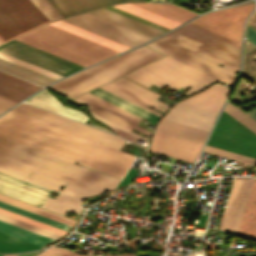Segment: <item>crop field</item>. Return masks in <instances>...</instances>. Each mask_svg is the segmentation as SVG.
I'll use <instances>...</instances> for the list:
<instances>
[{"instance_id":"obj_39","label":"crop field","mask_w":256,"mask_h":256,"mask_svg":"<svg viewBox=\"0 0 256 256\" xmlns=\"http://www.w3.org/2000/svg\"><path fill=\"white\" fill-rule=\"evenodd\" d=\"M0 220L6 221V222H8V223H11V224L20 226V227H22V228H25V229L34 231V232H36V233H39V234H42V235H45V236H48V237L53 238V239H56V238L61 237V235H58V234H56V233H53V232L44 230V229H42V228H39V227L33 226V225H31V224H28V223L19 221V220H17V219H14V218L5 216V215H3V214H0Z\"/></svg>"},{"instance_id":"obj_44","label":"crop field","mask_w":256,"mask_h":256,"mask_svg":"<svg viewBox=\"0 0 256 256\" xmlns=\"http://www.w3.org/2000/svg\"><path fill=\"white\" fill-rule=\"evenodd\" d=\"M40 256H79L69 250L63 248H50Z\"/></svg>"},{"instance_id":"obj_37","label":"crop field","mask_w":256,"mask_h":256,"mask_svg":"<svg viewBox=\"0 0 256 256\" xmlns=\"http://www.w3.org/2000/svg\"><path fill=\"white\" fill-rule=\"evenodd\" d=\"M90 113L92 114V116L94 118H96L98 121H100L101 123L105 124L106 126L110 127L118 135H120V136H122V137H124V138H126V139H128V140H130L132 142H134V143L138 139L147 142V139H145V138H143V137H141V136H139V135H137V134H135L133 132H130V131H128V130H126V129H124V128H122V127H120V126H118V125H116V124H114V123H112V122H110V121H108V120H106V119L96 115V114H94V113H92V112H90Z\"/></svg>"},{"instance_id":"obj_54","label":"crop field","mask_w":256,"mask_h":256,"mask_svg":"<svg viewBox=\"0 0 256 256\" xmlns=\"http://www.w3.org/2000/svg\"><path fill=\"white\" fill-rule=\"evenodd\" d=\"M0 256H2V255H0Z\"/></svg>"},{"instance_id":"obj_19","label":"crop field","mask_w":256,"mask_h":256,"mask_svg":"<svg viewBox=\"0 0 256 256\" xmlns=\"http://www.w3.org/2000/svg\"><path fill=\"white\" fill-rule=\"evenodd\" d=\"M230 88L216 83L205 91L196 94L190 98L180 101L189 106L203 109L209 112L218 113Z\"/></svg>"},{"instance_id":"obj_42","label":"crop field","mask_w":256,"mask_h":256,"mask_svg":"<svg viewBox=\"0 0 256 256\" xmlns=\"http://www.w3.org/2000/svg\"><path fill=\"white\" fill-rule=\"evenodd\" d=\"M31 1L50 21L62 18L46 0Z\"/></svg>"},{"instance_id":"obj_36","label":"crop field","mask_w":256,"mask_h":256,"mask_svg":"<svg viewBox=\"0 0 256 256\" xmlns=\"http://www.w3.org/2000/svg\"><path fill=\"white\" fill-rule=\"evenodd\" d=\"M0 207L5 208V209H8V210H11V211H13V212L19 213V214L24 215V216L30 217V218H32V219L41 221V222L46 223V224H49V225H51V226L60 228V229L65 230V231H67V230L70 228V226H67V225H64V224H62V223H59V222L50 220V219H48V218H45V217L36 215V214H34V213H31V212L22 210V209H20V208H17V207L8 205V204L3 203V202H0Z\"/></svg>"},{"instance_id":"obj_16","label":"crop field","mask_w":256,"mask_h":256,"mask_svg":"<svg viewBox=\"0 0 256 256\" xmlns=\"http://www.w3.org/2000/svg\"><path fill=\"white\" fill-rule=\"evenodd\" d=\"M40 88L39 85L0 71V114Z\"/></svg>"},{"instance_id":"obj_43","label":"crop field","mask_w":256,"mask_h":256,"mask_svg":"<svg viewBox=\"0 0 256 256\" xmlns=\"http://www.w3.org/2000/svg\"><path fill=\"white\" fill-rule=\"evenodd\" d=\"M0 213H3V214H6L8 216H11V217H14V218H17L19 220H22V221H25V222H28V223H31L33 225H36V226H39V227H42L44 229H47V230H50V231H53V232H56L58 234H61L63 235L65 233V231H62L60 229H57V228H54V227H51L49 225H46V224H43L41 222H38V221H35V220H32L30 218H27V217H24V216H21L19 214H16V213H13V212H10L8 210H5V209H2L0 208Z\"/></svg>"},{"instance_id":"obj_22","label":"crop field","mask_w":256,"mask_h":256,"mask_svg":"<svg viewBox=\"0 0 256 256\" xmlns=\"http://www.w3.org/2000/svg\"><path fill=\"white\" fill-rule=\"evenodd\" d=\"M26 101L30 102L32 104L41 106L43 108L52 110L54 112L60 113L62 115L71 117L73 119L79 120L83 123H85L88 119L87 116L84 115L83 113L60 104L46 89L38 92L37 94H35L34 96H32L31 98H29ZM91 126H93V125H91ZM94 127H96V126H94ZM97 128H99V127H97ZM99 129H102V128H99ZM102 130H105V129H102ZM105 131H108V130H105ZM108 132H111V131H108ZM111 133H113V132H111Z\"/></svg>"},{"instance_id":"obj_30","label":"crop field","mask_w":256,"mask_h":256,"mask_svg":"<svg viewBox=\"0 0 256 256\" xmlns=\"http://www.w3.org/2000/svg\"><path fill=\"white\" fill-rule=\"evenodd\" d=\"M37 248L40 246L0 231V251L2 252H21Z\"/></svg>"},{"instance_id":"obj_41","label":"crop field","mask_w":256,"mask_h":256,"mask_svg":"<svg viewBox=\"0 0 256 256\" xmlns=\"http://www.w3.org/2000/svg\"><path fill=\"white\" fill-rule=\"evenodd\" d=\"M204 152L212 153V154H215V155L223 156V157H226V158H230V159H233V160L241 161V162L252 164V165H253V162H254L253 158L242 156V155H239V154H236V153H232V152L225 151V150H222V149H218V148L208 146V145H206V147L204 149Z\"/></svg>"},{"instance_id":"obj_8","label":"crop field","mask_w":256,"mask_h":256,"mask_svg":"<svg viewBox=\"0 0 256 256\" xmlns=\"http://www.w3.org/2000/svg\"><path fill=\"white\" fill-rule=\"evenodd\" d=\"M207 144L253 158L256 154V134L224 111Z\"/></svg>"},{"instance_id":"obj_33","label":"crop field","mask_w":256,"mask_h":256,"mask_svg":"<svg viewBox=\"0 0 256 256\" xmlns=\"http://www.w3.org/2000/svg\"><path fill=\"white\" fill-rule=\"evenodd\" d=\"M0 230L11 235L17 236L19 238L25 239L27 241H30L32 243L38 244L40 246L53 240L45 236L33 233L31 231L19 228L17 226L5 223L3 221H0Z\"/></svg>"},{"instance_id":"obj_17","label":"crop field","mask_w":256,"mask_h":256,"mask_svg":"<svg viewBox=\"0 0 256 256\" xmlns=\"http://www.w3.org/2000/svg\"><path fill=\"white\" fill-rule=\"evenodd\" d=\"M0 192L41 206L52 190L0 172Z\"/></svg>"},{"instance_id":"obj_29","label":"crop field","mask_w":256,"mask_h":256,"mask_svg":"<svg viewBox=\"0 0 256 256\" xmlns=\"http://www.w3.org/2000/svg\"><path fill=\"white\" fill-rule=\"evenodd\" d=\"M78 202L79 200L59 194L58 197L55 199L48 197L47 200L43 203L42 207L55 211L62 215L67 213V211L78 214L80 210L78 208Z\"/></svg>"},{"instance_id":"obj_49","label":"crop field","mask_w":256,"mask_h":256,"mask_svg":"<svg viewBox=\"0 0 256 256\" xmlns=\"http://www.w3.org/2000/svg\"><path fill=\"white\" fill-rule=\"evenodd\" d=\"M246 114H248L250 117H252L253 119L256 120V109H254Z\"/></svg>"},{"instance_id":"obj_9","label":"crop field","mask_w":256,"mask_h":256,"mask_svg":"<svg viewBox=\"0 0 256 256\" xmlns=\"http://www.w3.org/2000/svg\"><path fill=\"white\" fill-rule=\"evenodd\" d=\"M11 111H14L16 113L56 126L58 128L70 131L72 133L84 136L86 138L98 141L100 143L112 146L117 149H119L120 146L125 141L119 137L102 132L92 127L83 125L81 123L72 121L70 119L61 117L59 115L50 113L48 111L31 106L26 103L19 104L17 107H15Z\"/></svg>"},{"instance_id":"obj_45","label":"crop field","mask_w":256,"mask_h":256,"mask_svg":"<svg viewBox=\"0 0 256 256\" xmlns=\"http://www.w3.org/2000/svg\"><path fill=\"white\" fill-rule=\"evenodd\" d=\"M135 171H136V170L130 168V170H129L128 173L125 175V177L123 178V180L121 181V183L118 185V187H121L122 185L127 184V183H131V182L133 181ZM118 187H117V188H118Z\"/></svg>"},{"instance_id":"obj_53","label":"crop field","mask_w":256,"mask_h":256,"mask_svg":"<svg viewBox=\"0 0 256 256\" xmlns=\"http://www.w3.org/2000/svg\"><path fill=\"white\" fill-rule=\"evenodd\" d=\"M81 256H89V255H81Z\"/></svg>"},{"instance_id":"obj_7","label":"crop field","mask_w":256,"mask_h":256,"mask_svg":"<svg viewBox=\"0 0 256 256\" xmlns=\"http://www.w3.org/2000/svg\"><path fill=\"white\" fill-rule=\"evenodd\" d=\"M47 22L30 0H0V38L4 42Z\"/></svg>"},{"instance_id":"obj_31","label":"crop field","mask_w":256,"mask_h":256,"mask_svg":"<svg viewBox=\"0 0 256 256\" xmlns=\"http://www.w3.org/2000/svg\"><path fill=\"white\" fill-rule=\"evenodd\" d=\"M114 7L119 8L121 10L127 11L129 13H132L134 15H137L139 17L145 18L147 20H150L152 22H155L157 24L163 25L165 27H168L172 29L173 27L179 25L180 23L172 21L170 19H167L165 17L159 16L157 14H154L152 12L146 11L144 9H141L139 7L133 6L131 4H122V5H115Z\"/></svg>"},{"instance_id":"obj_34","label":"crop field","mask_w":256,"mask_h":256,"mask_svg":"<svg viewBox=\"0 0 256 256\" xmlns=\"http://www.w3.org/2000/svg\"><path fill=\"white\" fill-rule=\"evenodd\" d=\"M80 97H82V98H84V99H86V100H88V101H90V102L136 124V125H138L139 121L141 120V118H139V117H137V116H135V115H133V114H131V113H129V112H127V111H125V110H123V109L89 93V92L81 95Z\"/></svg>"},{"instance_id":"obj_48","label":"crop field","mask_w":256,"mask_h":256,"mask_svg":"<svg viewBox=\"0 0 256 256\" xmlns=\"http://www.w3.org/2000/svg\"><path fill=\"white\" fill-rule=\"evenodd\" d=\"M126 244L130 245L136 251V238Z\"/></svg>"},{"instance_id":"obj_2","label":"crop field","mask_w":256,"mask_h":256,"mask_svg":"<svg viewBox=\"0 0 256 256\" xmlns=\"http://www.w3.org/2000/svg\"><path fill=\"white\" fill-rule=\"evenodd\" d=\"M0 171L81 200L112 190L118 179L0 136Z\"/></svg>"},{"instance_id":"obj_11","label":"crop field","mask_w":256,"mask_h":256,"mask_svg":"<svg viewBox=\"0 0 256 256\" xmlns=\"http://www.w3.org/2000/svg\"><path fill=\"white\" fill-rule=\"evenodd\" d=\"M0 51L65 76L75 72L82 66L40 51L28 45L12 40L0 46Z\"/></svg>"},{"instance_id":"obj_12","label":"crop field","mask_w":256,"mask_h":256,"mask_svg":"<svg viewBox=\"0 0 256 256\" xmlns=\"http://www.w3.org/2000/svg\"><path fill=\"white\" fill-rule=\"evenodd\" d=\"M253 180L252 178L233 179L220 230L238 234Z\"/></svg>"},{"instance_id":"obj_32","label":"crop field","mask_w":256,"mask_h":256,"mask_svg":"<svg viewBox=\"0 0 256 256\" xmlns=\"http://www.w3.org/2000/svg\"><path fill=\"white\" fill-rule=\"evenodd\" d=\"M75 100L87 105L89 107L90 111H92V112H94V113H96V114H98V115H100V116L118 124V125H121V126L127 128L129 130L135 129V130H137L139 132H142V133H144L148 136L150 134V131H148L146 129H143L139 126H136V125H134V124H132V123H130V122H128V121H126V120H124V119H122V118H120V117H118V116H116V115H114V114H112V113H110V112H108V111H106V110H104V109H102V108H100V107L82 99V98H80V97L76 98Z\"/></svg>"},{"instance_id":"obj_23","label":"crop field","mask_w":256,"mask_h":256,"mask_svg":"<svg viewBox=\"0 0 256 256\" xmlns=\"http://www.w3.org/2000/svg\"><path fill=\"white\" fill-rule=\"evenodd\" d=\"M156 131L167 133L201 144H203L208 134V131L200 130L164 119L159 122Z\"/></svg>"},{"instance_id":"obj_35","label":"crop field","mask_w":256,"mask_h":256,"mask_svg":"<svg viewBox=\"0 0 256 256\" xmlns=\"http://www.w3.org/2000/svg\"><path fill=\"white\" fill-rule=\"evenodd\" d=\"M0 201L9 203V204H11V205H14V206L23 208V209H25V210H28V211H31V212H34V213H37V214H39V215H42V216L51 218V219H53V220H56V221L65 223V224L70 225V226H72L73 223L75 222L74 220L64 218V217H62V216L53 214V213H51V212L42 210V209H40V208L31 206V205H29V204H26V203H23V202H20V201H17V200H15V199L6 197V196L1 195V194H0Z\"/></svg>"},{"instance_id":"obj_46","label":"crop field","mask_w":256,"mask_h":256,"mask_svg":"<svg viewBox=\"0 0 256 256\" xmlns=\"http://www.w3.org/2000/svg\"><path fill=\"white\" fill-rule=\"evenodd\" d=\"M246 38L256 45V31L250 26H246Z\"/></svg>"},{"instance_id":"obj_18","label":"crop field","mask_w":256,"mask_h":256,"mask_svg":"<svg viewBox=\"0 0 256 256\" xmlns=\"http://www.w3.org/2000/svg\"><path fill=\"white\" fill-rule=\"evenodd\" d=\"M216 116V114L176 103L164 116V119L209 131Z\"/></svg>"},{"instance_id":"obj_51","label":"crop field","mask_w":256,"mask_h":256,"mask_svg":"<svg viewBox=\"0 0 256 256\" xmlns=\"http://www.w3.org/2000/svg\"><path fill=\"white\" fill-rule=\"evenodd\" d=\"M4 43L1 39H0V44Z\"/></svg>"},{"instance_id":"obj_5","label":"crop field","mask_w":256,"mask_h":256,"mask_svg":"<svg viewBox=\"0 0 256 256\" xmlns=\"http://www.w3.org/2000/svg\"><path fill=\"white\" fill-rule=\"evenodd\" d=\"M163 55L141 46L133 51L74 74L49 88L74 98L81 93L118 78L134 68L161 58Z\"/></svg>"},{"instance_id":"obj_28","label":"crop field","mask_w":256,"mask_h":256,"mask_svg":"<svg viewBox=\"0 0 256 256\" xmlns=\"http://www.w3.org/2000/svg\"><path fill=\"white\" fill-rule=\"evenodd\" d=\"M50 25L58 27V28L63 29L65 31L71 32V33L76 34L78 36L84 37V38L89 39L91 41H94L96 43L102 44V45L107 46L109 48L115 49L117 51H122V50L128 48L126 46L115 43L113 41H110V40L105 39L103 37H100L98 35L92 34L90 32H87V31L82 30L80 28H77L75 26L64 23L62 21L51 23Z\"/></svg>"},{"instance_id":"obj_25","label":"crop field","mask_w":256,"mask_h":256,"mask_svg":"<svg viewBox=\"0 0 256 256\" xmlns=\"http://www.w3.org/2000/svg\"><path fill=\"white\" fill-rule=\"evenodd\" d=\"M89 92H91V93H93V94H95V95H97V96H99V97H101V98H103V99H105V100H107V101H109V102H111V103H113V104H115V105H117V106H119V107H121V108H123V109H125V110L143 118V119H145V120H147V121H150L154 124L159 118V116H157V115H155V114H153V113H151L147 110H144V109H142V108H140V107H138V106H136L132 103H129V102H127V101H125V100H123V99H121V98H119L115 95H112V94H110V93H108V92H106V91H104L100 88L94 89V90L89 91Z\"/></svg>"},{"instance_id":"obj_47","label":"crop field","mask_w":256,"mask_h":256,"mask_svg":"<svg viewBox=\"0 0 256 256\" xmlns=\"http://www.w3.org/2000/svg\"><path fill=\"white\" fill-rule=\"evenodd\" d=\"M37 253H39V251H35V252H29V253H22V254H18L16 256H34Z\"/></svg>"},{"instance_id":"obj_20","label":"crop field","mask_w":256,"mask_h":256,"mask_svg":"<svg viewBox=\"0 0 256 256\" xmlns=\"http://www.w3.org/2000/svg\"><path fill=\"white\" fill-rule=\"evenodd\" d=\"M92 16L98 17L100 19L106 20L108 22L114 23L116 25L122 26L149 38L155 37L164 33L165 31L155 28L153 26L147 25L125 15L119 14L107 8H102L90 13Z\"/></svg>"},{"instance_id":"obj_38","label":"crop field","mask_w":256,"mask_h":256,"mask_svg":"<svg viewBox=\"0 0 256 256\" xmlns=\"http://www.w3.org/2000/svg\"><path fill=\"white\" fill-rule=\"evenodd\" d=\"M224 111H226L228 114L233 116L239 122H241L246 127H248L249 129H251L253 132L256 133V121H254L252 118H250L244 112H242L240 109H238L232 103L228 102Z\"/></svg>"},{"instance_id":"obj_26","label":"crop field","mask_w":256,"mask_h":256,"mask_svg":"<svg viewBox=\"0 0 256 256\" xmlns=\"http://www.w3.org/2000/svg\"><path fill=\"white\" fill-rule=\"evenodd\" d=\"M238 235L256 239V179L254 180Z\"/></svg>"},{"instance_id":"obj_10","label":"crop field","mask_w":256,"mask_h":256,"mask_svg":"<svg viewBox=\"0 0 256 256\" xmlns=\"http://www.w3.org/2000/svg\"><path fill=\"white\" fill-rule=\"evenodd\" d=\"M254 4L214 11L192 22L240 45L242 25Z\"/></svg>"},{"instance_id":"obj_4","label":"crop field","mask_w":256,"mask_h":256,"mask_svg":"<svg viewBox=\"0 0 256 256\" xmlns=\"http://www.w3.org/2000/svg\"><path fill=\"white\" fill-rule=\"evenodd\" d=\"M15 40L84 67L117 54V51L115 50L52 27L48 24Z\"/></svg>"},{"instance_id":"obj_14","label":"crop field","mask_w":256,"mask_h":256,"mask_svg":"<svg viewBox=\"0 0 256 256\" xmlns=\"http://www.w3.org/2000/svg\"><path fill=\"white\" fill-rule=\"evenodd\" d=\"M112 94H115L127 101H130L144 109H147L159 116L161 114L147 108L146 106L150 105L162 112H164L168 105L156 100V98L159 96L158 94L124 78L121 77L107 85H104L100 87ZM156 104L165 107L164 109L157 106Z\"/></svg>"},{"instance_id":"obj_13","label":"crop field","mask_w":256,"mask_h":256,"mask_svg":"<svg viewBox=\"0 0 256 256\" xmlns=\"http://www.w3.org/2000/svg\"><path fill=\"white\" fill-rule=\"evenodd\" d=\"M92 33L98 34L115 42L132 47L148 38L135 34L118 26L112 25L87 14L62 20ZM150 40V39H149Z\"/></svg>"},{"instance_id":"obj_27","label":"crop field","mask_w":256,"mask_h":256,"mask_svg":"<svg viewBox=\"0 0 256 256\" xmlns=\"http://www.w3.org/2000/svg\"><path fill=\"white\" fill-rule=\"evenodd\" d=\"M0 69L40 84L42 86H46L56 80L46 77L44 75L38 74L6 60L0 59Z\"/></svg>"},{"instance_id":"obj_52","label":"crop field","mask_w":256,"mask_h":256,"mask_svg":"<svg viewBox=\"0 0 256 256\" xmlns=\"http://www.w3.org/2000/svg\"><path fill=\"white\" fill-rule=\"evenodd\" d=\"M4 256H15V255H4Z\"/></svg>"},{"instance_id":"obj_40","label":"crop field","mask_w":256,"mask_h":256,"mask_svg":"<svg viewBox=\"0 0 256 256\" xmlns=\"http://www.w3.org/2000/svg\"><path fill=\"white\" fill-rule=\"evenodd\" d=\"M0 58L6 59V60H8V61H11V62L16 63V64H18V65H21V66H23V67H26V68H28V69H31V70H33V71H36V72H38V73L44 74V75L49 76V77H51V78H54V79H56V80H58V79H60V78L62 77V76H60V75H57V74H55V73H52V72H50V71H47V70H45V69H42V68H40V67H37V66H35V65H32V64H30V63H27V62H25V61H22V60H20V59H17V58H15V57H12V56L7 55V54L2 53V52H0Z\"/></svg>"},{"instance_id":"obj_6","label":"crop field","mask_w":256,"mask_h":256,"mask_svg":"<svg viewBox=\"0 0 256 256\" xmlns=\"http://www.w3.org/2000/svg\"><path fill=\"white\" fill-rule=\"evenodd\" d=\"M125 77L146 87L152 83L160 88L165 84L175 90L189 86L191 88L185 92L187 95L216 81L167 56L145 65Z\"/></svg>"},{"instance_id":"obj_21","label":"crop field","mask_w":256,"mask_h":256,"mask_svg":"<svg viewBox=\"0 0 256 256\" xmlns=\"http://www.w3.org/2000/svg\"><path fill=\"white\" fill-rule=\"evenodd\" d=\"M63 17L82 13L118 2L144 1V0H47Z\"/></svg>"},{"instance_id":"obj_3","label":"crop field","mask_w":256,"mask_h":256,"mask_svg":"<svg viewBox=\"0 0 256 256\" xmlns=\"http://www.w3.org/2000/svg\"><path fill=\"white\" fill-rule=\"evenodd\" d=\"M146 45L229 86L236 80L240 46L192 22Z\"/></svg>"},{"instance_id":"obj_24","label":"crop field","mask_w":256,"mask_h":256,"mask_svg":"<svg viewBox=\"0 0 256 256\" xmlns=\"http://www.w3.org/2000/svg\"><path fill=\"white\" fill-rule=\"evenodd\" d=\"M131 4L139 6L146 10L152 11L159 15L165 16L172 20L178 21L180 23L197 15L193 12L185 10L176 5H167V4H160V3H131Z\"/></svg>"},{"instance_id":"obj_1","label":"crop field","mask_w":256,"mask_h":256,"mask_svg":"<svg viewBox=\"0 0 256 256\" xmlns=\"http://www.w3.org/2000/svg\"><path fill=\"white\" fill-rule=\"evenodd\" d=\"M0 135L119 178L134 158V155L11 111L0 118Z\"/></svg>"},{"instance_id":"obj_15","label":"crop field","mask_w":256,"mask_h":256,"mask_svg":"<svg viewBox=\"0 0 256 256\" xmlns=\"http://www.w3.org/2000/svg\"><path fill=\"white\" fill-rule=\"evenodd\" d=\"M201 144L154 132L149 150L193 163Z\"/></svg>"},{"instance_id":"obj_50","label":"crop field","mask_w":256,"mask_h":256,"mask_svg":"<svg viewBox=\"0 0 256 256\" xmlns=\"http://www.w3.org/2000/svg\"><path fill=\"white\" fill-rule=\"evenodd\" d=\"M120 256H136L135 254H121Z\"/></svg>"}]
</instances>
